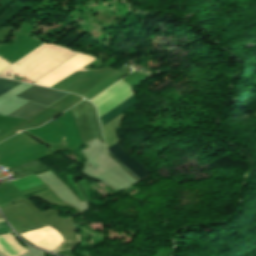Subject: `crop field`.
<instances>
[{
  "instance_id": "1",
  "label": "crop field",
  "mask_w": 256,
  "mask_h": 256,
  "mask_svg": "<svg viewBox=\"0 0 256 256\" xmlns=\"http://www.w3.org/2000/svg\"><path fill=\"white\" fill-rule=\"evenodd\" d=\"M72 112L84 143L95 138L103 143L94 106L86 101Z\"/></svg>"
},
{
  "instance_id": "6",
  "label": "crop field",
  "mask_w": 256,
  "mask_h": 256,
  "mask_svg": "<svg viewBox=\"0 0 256 256\" xmlns=\"http://www.w3.org/2000/svg\"><path fill=\"white\" fill-rule=\"evenodd\" d=\"M18 84H20V82L0 79V95H2L5 92L9 91L10 89H12L13 87L17 86Z\"/></svg>"
},
{
  "instance_id": "3",
  "label": "crop field",
  "mask_w": 256,
  "mask_h": 256,
  "mask_svg": "<svg viewBox=\"0 0 256 256\" xmlns=\"http://www.w3.org/2000/svg\"><path fill=\"white\" fill-rule=\"evenodd\" d=\"M111 154L124 166H126L133 174H135L141 181L150 177L146 168L135 162L127 154H125L117 145L108 148Z\"/></svg>"
},
{
  "instance_id": "2",
  "label": "crop field",
  "mask_w": 256,
  "mask_h": 256,
  "mask_svg": "<svg viewBox=\"0 0 256 256\" xmlns=\"http://www.w3.org/2000/svg\"><path fill=\"white\" fill-rule=\"evenodd\" d=\"M67 94L68 93L32 85L21 93L17 94L15 97L23 98L48 106Z\"/></svg>"
},
{
  "instance_id": "4",
  "label": "crop field",
  "mask_w": 256,
  "mask_h": 256,
  "mask_svg": "<svg viewBox=\"0 0 256 256\" xmlns=\"http://www.w3.org/2000/svg\"><path fill=\"white\" fill-rule=\"evenodd\" d=\"M137 104L135 95H132L127 100L116 106L114 109L106 113L104 116L99 118L101 126H104L108 122H110L112 119L123 113L125 110L129 109L133 105Z\"/></svg>"
},
{
  "instance_id": "7",
  "label": "crop field",
  "mask_w": 256,
  "mask_h": 256,
  "mask_svg": "<svg viewBox=\"0 0 256 256\" xmlns=\"http://www.w3.org/2000/svg\"><path fill=\"white\" fill-rule=\"evenodd\" d=\"M0 218H1V215H0Z\"/></svg>"
},
{
  "instance_id": "5",
  "label": "crop field",
  "mask_w": 256,
  "mask_h": 256,
  "mask_svg": "<svg viewBox=\"0 0 256 256\" xmlns=\"http://www.w3.org/2000/svg\"><path fill=\"white\" fill-rule=\"evenodd\" d=\"M45 108L46 107L35 105V104H32L29 102L26 105H24L23 107H21L20 109L13 112L12 114H10V115L8 114V115L10 117H16V118H21V119L27 120Z\"/></svg>"
}]
</instances>
